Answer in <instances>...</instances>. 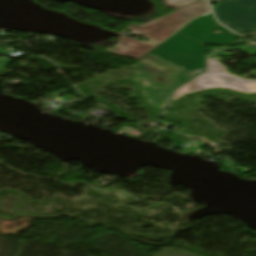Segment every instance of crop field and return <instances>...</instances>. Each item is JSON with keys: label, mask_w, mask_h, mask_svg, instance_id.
<instances>
[{"label": "crop field", "mask_w": 256, "mask_h": 256, "mask_svg": "<svg viewBox=\"0 0 256 256\" xmlns=\"http://www.w3.org/2000/svg\"><path fill=\"white\" fill-rule=\"evenodd\" d=\"M203 62V45L174 35L135 64L146 71L145 98L154 108L163 109L169 94L202 69Z\"/></svg>", "instance_id": "1"}, {"label": "crop field", "mask_w": 256, "mask_h": 256, "mask_svg": "<svg viewBox=\"0 0 256 256\" xmlns=\"http://www.w3.org/2000/svg\"><path fill=\"white\" fill-rule=\"evenodd\" d=\"M209 11L205 0H200L150 23L141 26L132 24L128 27L145 37L159 42L167 38L189 20Z\"/></svg>", "instance_id": "2"}, {"label": "crop field", "mask_w": 256, "mask_h": 256, "mask_svg": "<svg viewBox=\"0 0 256 256\" xmlns=\"http://www.w3.org/2000/svg\"><path fill=\"white\" fill-rule=\"evenodd\" d=\"M211 87H227L247 93L256 92V81L244 80L226 73L225 67L217 61L208 59V72L182 88L178 89L173 99L176 100L186 93L196 92Z\"/></svg>", "instance_id": "3"}, {"label": "crop field", "mask_w": 256, "mask_h": 256, "mask_svg": "<svg viewBox=\"0 0 256 256\" xmlns=\"http://www.w3.org/2000/svg\"><path fill=\"white\" fill-rule=\"evenodd\" d=\"M214 11L224 25L240 34L256 31V0L228 1Z\"/></svg>", "instance_id": "4"}, {"label": "crop field", "mask_w": 256, "mask_h": 256, "mask_svg": "<svg viewBox=\"0 0 256 256\" xmlns=\"http://www.w3.org/2000/svg\"><path fill=\"white\" fill-rule=\"evenodd\" d=\"M213 31L215 33H213ZM179 33L193 38L201 43L235 45V35L230 30L216 23L211 15L201 17L186 26Z\"/></svg>", "instance_id": "5"}, {"label": "crop field", "mask_w": 256, "mask_h": 256, "mask_svg": "<svg viewBox=\"0 0 256 256\" xmlns=\"http://www.w3.org/2000/svg\"><path fill=\"white\" fill-rule=\"evenodd\" d=\"M156 45L158 44L152 41L145 44L141 41L121 36L119 45L109 52L139 59Z\"/></svg>", "instance_id": "6"}, {"label": "crop field", "mask_w": 256, "mask_h": 256, "mask_svg": "<svg viewBox=\"0 0 256 256\" xmlns=\"http://www.w3.org/2000/svg\"><path fill=\"white\" fill-rule=\"evenodd\" d=\"M162 1L167 3L166 6H168L169 8L174 10V9L183 7L185 5H188V4L192 3L193 1H198V0H190V1H187V0H162Z\"/></svg>", "instance_id": "7"}, {"label": "crop field", "mask_w": 256, "mask_h": 256, "mask_svg": "<svg viewBox=\"0 0 256 256\" xmlns=\"http://www.w3.org/2000/svg\"><path fill=\"white\" fill-rule=\"evenodd\" d=\"M154 256H193V255H189L186 253H182V252L164 248L162 251H160L158 254H156Z\"/></svg>", "instance_id": "8"}, {"label": "crop field", "mask_w": 256, "mask_h": 256, "mask_svg": "<svg viewBox=\"0 0 256 256\" xmlns=\"http://www.w3.org/2000/svg\"><path fill=\"white\" fill-rule=\"evenodd\" d=\"M191 145H192V144H191ZM205 145H208V144H204V143L198 142V143H196V144L190 146V148H194V150L188 151V153H191V154H200L202 151H200V150H198V149H199V148H202V147L205 146ZM209 146H210V145H209ZM212 147H213V146H212ZM214 148H215V147H214ZM216 149H217L218 151L213 152V153L221 152L220 149H218V148H216Z\"/></svg>", "instance_id": "9"}, {"label": "crop field", "mask_w": 256, "mask_h": 256, "mask_svg": "<svg viewBox=\"0 0 256 256\" xmlns=\"http://www.w3.org/2000/svg\"><path fill=\"white\" fill-rule=\"evenodd\" d=\"M246 52L252 53L254 55H256V48L255 47H251V48H245L243 49Z\"/></svg>", "instance_id": "10"}, {"label": "crop field", "mask_w": 256, "mask_h": 256, "mask_svg": "<svg viewBox=\"0 0 256 256\" xmlns=\"http://www.w3.org/2000/svg\"><path fill=\"white\" fill-rule=\"evenodd\" d=\"M127 134L132 135V136H137V137L141 136L140 132L137 129H135Z\"/></svg>", "instance_id": "11"}, {"label": "crop field", "mask_w": 256, "mask_h": 256, "mask_svg": "<svg viewBox=\"0 0 256 256\" xmlns=\"http://www.w3.org/2000/svg\"><path fill=\"white\" fill-rule=\"evenodd\" d=\"M217 55H232V56H235V55H233V54L221 52V53H216V54H214V55H212V56H210V57L213 58V57H215V56H217Z\"/></svg>", "instance_id": "12"}]
</instances>
